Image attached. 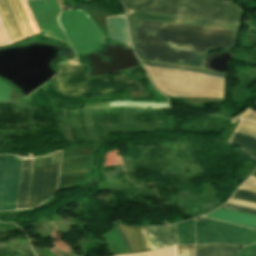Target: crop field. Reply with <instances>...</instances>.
Segmentation results:
<instances>
[{"label":"crop field","instance_id":"8a807250","mask_svg":"<svg viewBox=\"0 0 256 256\" xmlns=\"http://www.w3.org/2000/svg\"><path fill=\"white\" fill-rule=\"evenodd\" d=\"M122 2L125 8L129 9L238 23H241L243 16L242 10L237 5L221 0H122ZM129 9H126V11L131 39L134 51L139 59L144 57L176 63L180 61L190 62L207 48L231 47L236 32L233 30H237L232 46L234 47L241 25ZM139 18L233 30L140 19V51L142 57L139 51ZM211 50L213 49H207L190 63L181 62L180 64L202 67L204 54Z\"/></svg>","mask_w":256,"mask_h":256},{"label":"crop field","instance_id":"ac0d7876","mask_svg":"<svg viewBox=\"0 0 256 256\" xmlns=\"http://www.w3.org/2000/svg\"><path fill=\"white\" fill-rule=\"evenodd\" d=\"M141 62L142 64L149 66L173 68L223 77L224 94L222 78L220 77L173 69L144 66L155 87L166 95L222 98L223 94V98H225L226 75L224 74L183 66L157 64L143 61Z\"/></svg>","mask_w":256,"mask_h":256},{"label":"crop field","instance_id":"34b2d1b8","mask_svg":"<svg viewBox=\"0 0 256 256\" xmlns=\"http://www.w3.org/2000/svg\"><path fill=\"white\" fill-rule=\"evenodd\" d=\"M61 73L56 76L62 96L105 95L141 89L139 82L129 80L125 74L87 80L82 66L58 64Z\"/></svg>","mask_w":256,"mask_h":256},{"label":"crop field","instance_id":"412701ff","mask_svg":"<svg viewBox=\"0 0 256 256\" xmlns=\"http://www.w3.org/2000/svg\"><path fill=\"white\" fill-rule=\"evenodd\" d=\"M58 19L76 54L96 51L106 39L84 10L62 12Z\"/></svg>","mask_w":256,"mask_h":256},{"label":"crop field","instance_id":"f4fd0767","mask_svg":"<svg viewBox=\"0 0 256 256\" xmlns=\"http://www.w3.org/2000/svg\"><path fill=\"white\" fill-rule=\"evenodd\" d=\"M196 244L227 243L247 245L256 243V231L205 218H196Z\"/></svg>","mask_w":256,"mask_h":256},{"label":"crop field","instance_id":"dd49c442","mask_svg":"<svg viewBox=\"0 0 256 256\" xmlns=\"http://www.w3.org/2000/svg\"><path fill=\"white\" fill-rule=\"evenodd\" d=\"M60 156L61 152L35 158L28 208L37 206L56 191Z\"/></svg>","mask_w":256,"mask_h":256},{"label":"crop field","instance_id":"e52e79f7","mask_svg":"<svg viewBox=\"0 0 256 256\" xmlns=\"http://www.w3.org/2000/svg\"><path fill=\"white\" fill-rule=\"evenodd\" d=\"M0 18L12 44L39 33L25 0H0Z\"/></svg>","mask_w":256,"mask_h":256},{"label":"crop field","instance_id":"d8731c3e","mask_svg":"<svg viewBox=\"0 0 256 256\" xmlns=\"http://www.w3.org/2000/svg\"><path fill=\"white\" fill-rule=\"evenodd\" d=\"M21 158L0 156V210L14 209Z\"/></svg>","mask_w":256,"mask_h":256},{"label":"crop field","instance_id":"5a996713","mask_svg":"<svg viewBox=\"0 0 256 256\" xmlns=\"http://www.w3.org/2000/svg\"><path fill=\"white\" fill-rule=\"evenodd\" d=\"M28 3L45 37L70 45L56 20L61 11L56 0H34Z\"/></svg>","mask_w":256,"mask_h":256},{"label":"crop field","instance_id":"3316defc","mask_svg":"<svg viewBox=\"0 0 256 256\" xmlns=\"http://www.w3.org/2000/svg\"><path fill=\"white\" fill-rule=\"evenodd\" d=\"M236 132L256 138V123L241 120ZM237 133L234 134L231 142L241 146L249 155L256 158V139Z\"/></svg>","mask_w":256,"mask_h":256},{"label":"crop field","instance_id":"28ad6ade","mask_svg":"<svg viewBox=\"0 0 256 256\" xmlns=\"http://www.w3.org/2000/svg\"><path fill=\"white\" fill-rule=\"evenodd\" d=\"M134 253L152 250L144 227L119 225Z\"/></svg>","mask_w":256,"mask_h":256},{"label":"crop field","instance_id":"d1516ede","mask_svg":"<svg viewBox=\"0 0 256 256\" xmlns=\"http://www.w3.org/2000/svg\"><path fill=\"white\" fill-rule=\"evenodd\" d=\"M33 158H23L16 209L27 208Z\"/></svg>","mask_w":256,"mask_h":256},{"label":"crop field","instance_id":"22f410ed","mask_svg":"<svg viewBox=\"0 0 256 256\" xmlns=\"http://www.w3.org/2000/svg\"><path fill=\"white\" fill-rule=\"evenodd\" d=\"M207 217L256 227V216L219 208Z\"/></svg>","mask_w":256,"mask_h":256},{"label":"crop field","instance_id":"cbeb9de0","mask_svg":"<svg viewBox=\"0 0 256 256\" xmlns=\"http://www.w3.org/2000/svg\"><path fill=\"white\" fill-rule=\"evenodd\" d=\"M109 37L130 46L124 15L106 18Z\"/></svg>","mask_w":256,"mask_h":256},{"label":"crop field","instance_id":"5142ce71","mask_svg":"<svg viewBox=\"0 0 256 256\" xmlns=\"http://www.w3.org/2000/svg\"><path fill=\"white\" fill-rule=\"evenodd\" d=\"M159 246L178 245L176 224L165 227H146Z\"/></svg>","mask_w":256,"mask_h":256},{"label":"crop field","instance_id":"d9b57169","mask_svg":"<svg viewBox=\"0 0 256 256\" xmlns=\"http://www.w3.org/2000/svg\"><path fill=\"white\" fill-rule=\"evenodd\" d=\"M238 249L224 244H205L196 246V256H236Z\"/></svg>","mask_w":256,"mask_h":256},{"label":"crop field","instance_id":"733c2abd","mask_svg":"<svg viewBox=\"0 0 256 256\" xmlns=\"http://www.w3.org/2000/svg\"><path fill=\"white\" fill-rule=\"evenodd\" d=\"M179 245L194 244L195 229L194 220L177 224Z\"/></svg>","mask_w":256,"mask_h":256},{"label":"crop field","instance_id":"4a817a6b","mask_svg":"<svg viewBox=\"0 0 256 256\" xmlns=\"http://www.w3.org/2000/svg\"><path fill=\"white\" fill-rule=\"evenodd\" d=\"M227 203L228 204H232V205L242 206V207L251 208V209H255L256 210V204L255 203H251V202H246V201L230 198ZM228 204H225L224 206H222V208L231 209V210H235V211H240V212L256 215V211L255 210L246 209V208L237 207V206H232V205H228Z\"/></svg>","mask_w":256,"mask_h":256},{"label":"crop field","instance_id":"bc2a9ffb","mask_svg":"<svg viewBox=\"0 0 256 256\" xmlns=\"http://www.w3.org/2000/svg\"><path fill=\"white\" fill-rule=\"evenodd\" d=\"M123 256H177V254H176V246H170V247L162 248V249L147 252V253L123 255Z\"/></svg>","mask_w":256,"mask_h":256},{"label":"crop field","instance_id":"214f88e0","mask_svg":"<svg viewBox=\"0 0 256 256\" xmlns=\"http://www.w3.org/2000/svg\"><path fill=\"white\" fill-rule=\"evenodd\" d=\"M234 198L256 202V193L238 189L233 195Z\"/></svg>","mask_w":256,"mask_h":256},{"label":"crop field","instance_id":"92a150f3","mask_svg":"<svg viewBox=\"0 0 256 256\" xmlns=\"http://www.w3.org/2000/svg\"><path fill=\"white\" fill-rule=\"evenodd\" d=\"M12 90L13 88H11L6 83L0 81V101H8Z\"/></svg>","mask_w":256,"mask_h":256},{"label":"crop field","instance_id":"dafd665d","mask_svg":"<svg viewBox=\"0 0 256 256\" xmlns=\"http://www.w3.org/2000/svg\"><path fill=\"white\" fill-rule=\"evenodd\" d=\"M253 175H256V171L253 173ZM253 175H251L250 178L245 183H243L239 188L256 192V176Z\"/></svg>","mask_w":256,"mask_h":256},{"label":"crop field","instance_id":"00972430","mask_svg":"<svg viewBox=\"0 0 256 256\" xmlns=\"http://www.w3.org/2000/svg\"><path fill=\"white\" fill-rule=\"evenodd\" d=\"M178 256H194V246H177Z\"/></svg>","mask_w":256,"mask_h":256},{"label":"crop field","instance_id":"a9b5d70f","mask_svg":"<svg viewBox=\"0 0 256 256\" xmlns=\"http://www.w3.org/2000/svg\"><path fill=\"white\" fill-rule=\"evenodd\" d=\"M239 256H256V244L245 247Z\"/></svg>","mask_w":256,"mask_h":256},{"label":"crop field","instance_id":"4177f3b9","mask_svg":"<svg viewBox=\"0 0 256 256\" xmlns=\"http://www.w3.org/2000/svg\"><path fill=\"white\" fill-rule=\"evenodd\" d=\"M11 44L0 21V47Z\"/></svg>","mask_w":256,"mask_h":256},{"label":"crop field","instance_id":"730fd06b","mask_svg":"<svg viewBox=\"0 0 256 256\" xmlns=\"http://www.w3.org/2000/svg\"><path fill=\"white\" fill-rule=\"evenodd\" d=\"M114 225H115L117 231H118V232L120 233V235L122 236V238H123V240H124V242H125V245H126L128 251H129V253H133L132 250H131V248H130V246H129V244H128V241H127L126 237L124 236V234H123V232H122V230L119 228V226H118L116 223H114Z\"/></svg>","mask_w":256,"mask_h":256},{"label":"crop field","instance_id":"eef30255","mask_svg":"<svg viewBox=\"0 0 256 256\" xmlns=\"http://www.w3.org/2000/svg\"><path fill=\"white\" fill-rule=\"evenodd\" d=\"M218 207L217 202H212V203H208L204 205V214H206L207 212L211 211L212 209Z\"/></svg>","mask_w":256,"mask_h":256}]
</instances>
